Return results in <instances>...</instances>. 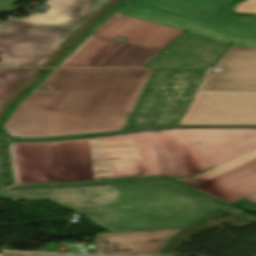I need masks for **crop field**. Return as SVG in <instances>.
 Segmentation results:
<instances>
[{
    "instance_id": "crop-field-1",
    "label": "crop field",
    "mask_w": 256,
    "mask_h": 256,
    "mask_svg": "<svg viewBox=\"0 0 256 256\" xmlns=\"http://www.w3.org/2000/svg\"><path fill=\"white\" fill-rule=\"evenodd\" d=\"M156 133L161 135L144 132L10 143L15 184L146 175L183 177L256 148V129H171Z\"/></svg>"
},
{
    "instance_id": "crop-field-2",
    "label": "crop field",
    "mask_w": 256,
    "mask_h": 256,
    "mask_svg": "<svg viewBox=\"0 0 256 256\" xmlns=\"http://www.w3.org/2000/svg\"><path fill=\"white\" fill-rule=\"evenodd\" d=\"M152 71L46 69L4 111L0 130L9 138L120 131Z\"/></svg>"
},
{
    "instance_id": "crop-field-3",
    "label": "crop field",
    "mask_w": 256,
    "mask_h": 256,
    "mask_svg": "<svg viewBox=\"0 0 256 256\" xmlns=\"http://www.w3.org/2000/svg\"><path fill=\"white\" fill-rule=\"evenodd\" d=\"M0 198L49 199L111 232L184 228L221 209L163 181L0 190Z\"/></svg>"
},
{
    "instance_id": "crop-field-4",
    "label": "crop field",
    "mask_w": 256,
    "mask_h": 256,
    "mask_svg": "<svg viewBox=\"0 0 256 256\" xmlns=\"http://www.w3.org/2000/svg\"><path fill=\"white\" fill-rule=\"evenodd\" d=\"M183 32L116 13L59 67H141Z\"/></svg>"
},
{
    "instance_id": "crop-field-5",
    "label": "crop field",
    "mask_w": 256,
    "mask_h": 256,
    "mask_svg": "<svg viewBox=\"0 0 256 256\" xmlns=\"http://www.w3.org/2000/svg\"><path fill=\"white\" fill-rule=\"evenodd\" d=\"M110 0H47L46 13L0 24V66H21L58 47Z\"/></svg>"
},
{
    "instance_id": "crop-field-6",
    "label": "crop field",
    "mask_w": 256,
    "mask_h": 256,
    "mask_svg": "<svg viewBox=\"0 0 256 256\" xmlns=\"http://www.w3.org/2000/svg\"><path fill=\"white\" fill-rule=\"evenodd\" d=\"M234 1L137 0L125 15L228 44L256 47V19L231 15L229 6ZM223 10L226 15L220 14Z\"/></svg>"
},
{
    "instance_id": "crop-field-7",
    "label": "crop field",
    "mask_w": 256,
    "mask_h": 256,
    "mask_svg": "<svg viewBox=\"0 0 256 256\" xmlns=\"http://www.w3.org/2000/svg\"><path fill=\"white\" fill-rule=\"evenodd\" d=\"M211 70L180 126L256 125V91H203Z\"/></svg>"
},
{
    "instance_id": "crop-field-8",
    "label": "crop field",
    "mask_w": 256,
    "mask_h": 256,
    "mask_svg": "<svg viewBox=\"0 0 256 256\" xmlns=\"http://www.w3.org/2000/svg\"><path fill=\"white\" fill-rule=\"evenodd\" d=\"M176 180L230 204L256 192V149L194 178Z\"/></svg>"
},
{
    "instance_id": "crop-field-9",
    "label": "crop field",
    "mask_w": 256,
    "mask_h": 256,
    "mask_svg": "<svg viewBox=\"0 0 256 256\" xmlns=\"http://www.w3.org/2000/svg\"><path fill=\"white\" fill-rule=\"evenodd\" d=\"M205 90H256V49L231 45Z\"/></svg>"
},
{
    "instance_id": "crop-field-10",
    "label": "crop field",
    "mask_w": 256,
    "mask_h": 256,
    "mask_svg": "<svg viewBox=\"0 0 256 256\" xmlns=\"http://www.w3.org/2000/svg\"><path fill=\"white\" fill-rule=\"evenodd\" d=\"M180 230L181 229L98 234L94 240L97 245L96 254H156L166 240Z\"/></svg>"
},
{
    "instance_id": "crop-field-11",
    "label": "crop field",
    "mask_w": 256,
    "mask_h": 256,
    "mask_svg": "<svg viewBox=\"0 0 256 256\" xmlns=\"http://www.w3.org/2000/svg\"><path fill=\"white\" fill-rule=\"evenodd\" d=\"M168 47L220 60L230 45L184 32Z\"/></svg>"
},
{
    "instance_id": "crop-field-12",
    "label": "crop field",
    "mask_w": 256,
    "mask_h": 256,
    "mask_svg": "<svg viewBox=\"0 0 256 256\" xmlns=\"http://www.w3.org/2000/svg\"><path fill=\"white\" fill-rule=\"evenodd\" d=\"M162 51L143 67H214L217 60L173 50Z\"/></svg>"
},
{
    "instance_id": "crop-field-13",
    "label": "crop field",
    "mask_w": 256,
    "mask_h": 256,
    "mask_svg": "<svg viewBox=\"0 0 256 256\" xmlns=\"http://www.w3.org/2000/svg\"><path fill=\"white\" fill-rule=\"evenodd\" d=\"M38 69H0V105Z\"/></svg>"
},
{
    "instance_id": "crop-field-14",
    "label": "crop field",
    "mask_w": 256,
    "mask_h": 256,
    "mask_svg": "<svg viewBox=\"0 0 256 256\" xmlns=\"http://www.w3.org/2000/svg\"><path fill=\"white\" fill-rule=\"evenodd\" d=\"M231 205L247 212H256V193H253Z\"/></svg>"
},
{
    "instance_id": "crop-field-15",
    "label": "crop field",
    "mask_w": 256,
    "mask_h": 256,
    "mask_svg": "<svg viewBox=\"0 0 256 256\" xmlns=\"http://www.w3.org/2000/svg\"><path fill=\"white\" fill-rule=\"evenodd\" d=\"M129 0H121L117 3L109 12H107L100 20H98L86 33L93 34L103 23H105L110 17H112L123 5Z\"/></svg>"
},
{
    "instance_id": "crop-field-16",
    "label": "crop field",
    "mask_w": 256,
    "mask_h": 256,
    "mask_svg": "<svg viewBox=\"0 0 256 256\" xmlns=\"http://www.w3.org/2000/svg\"><path fill=\"white\" fill-rule=\"evenodd\" d=\"M235 12L256 14V0H246L234 8Z\"/></svg>"
},
{
    "instance_id": "crop-field-17",
    "label": "crop field",
    "mask_w": 256,
    "mask_h": 256,
    "mask_svg": "<svg viewBox=\"0 0 256 256\" xmlns=\"http://www.w3.org/2000/svg\"><path fill=\"white\" fill-rule=\"evenodd\" d=\"M2 256H88V255H67V254H47V253H15L2 252Z\"/></svg>"
},
{
    "instance_id": "crop-field-18",
    "label": "crop field",
    "mask_w": 256,
    "mask_h": 256,
    "mask_svg": "<svg viewBox=\"0 0 256 256\" xmlns=\"http://www.w3.org/2000/svg\"><path fill=\"white\" fill-rule=\"evenodd\" d=\"M60 47H61V46H60ZM60 47L55 48V49H53V50H51V51L45 53L44 55L38 57L37 59H35V60H33V61H31V62H29V63L23 65V66H37V65L42 64V63L45 62L48 58H50V57L53 55V53H54L56 50H58ZM40 66H41V65H40Z\"/></svg>"
},
{
    "instance_id": "crop-field-19",
    "label": "crop field",
    "mask_w": 256,
    "mask_h": 256,
    "mask_svg": "<svg viewBox=\"0 0 256 256\" xmlns=\"http://www.w3.org/2000/svg\"><path fill=\"white\" fill-rule=\"evenodd\" d=\"M16 0H0V12L17 10V7L11 6ZM0 22H3L0 20Z\"/></svg>"
},
{
    "instance_id": "crop-field-20",
    "label": "crop field",
    "mask_w": 256,
    "mask_h": 256,
    "mask_svg": "<svg viewBox=\"0 0 256 256\" xmlns=\"http://www.w3.org/2000/svg\"><path fill=\"white\" fill-rule=\"evenodd\" d=\"M6 187L5 181H4V175H3V169H2V163L0 158V188Z\"/></svg>"
},
{
    "instance_id": "crop-field-21",
    "label": "crop field",
    "mask_w": 256,
    "mask_h": 256,
    "mask_svg": "<svg viewBox=\"0 0 256 256\" xmlns=\"http://www.w3.org/2000/svg\"><path fill=\"white\" fill-rule=\"evenodd\" d=\"M133 3L134 2H128L126 7L124 9L119 10L118 13L123 14L126 10H128L132 6Z\"/></svg>"
},
{
    "instance_id": "crop-field-22",
    "label": "crop field",
    "mask_w": 256,
    "mask_h": 256,
    "mask_svg": "<svg viewBox=\"0 0 256 256\" xmlns=\"http://www.w3.org/2000/svg\"><path fill=\"white\" fill-rule=\"evenodd\" d=\"M199 90V89H198ZM198 92V91H197ZM191 103V102H190ZM190 105V104H189ZM189 107V106H188ZM187 107V108H188ZM187 110V109H186ZM186 110H185V112H186ZM185 112H184V114H185ZM184 114L182 115V117L180 118V120H179V122H178V124H177V126H179V124H180V122H181V120H182V118H183V116H184Z\"/></svg>"
},
{
    "instance_id": "crop-field-23",
    "label": "crop field",
    "mask_w": 256,
    "mask_h": 256,
    "mask_svg": "<svg viewBox=\"0 0 256 256\" xmlns=\"http://www.w3.org/2000/svg\"><path fill=\"white\" fill-rule=\"evenodd\" d=\"M0 256H1V254H0Z\"/></svg>"
}]
</instances>
